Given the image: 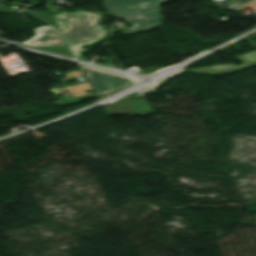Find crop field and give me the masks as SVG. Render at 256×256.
I'll return each instance as SVG.
<instances>
[{
  "instance_id": "obj_3",
  "label": "crop field",
  "mask_w": 256,
  "mask_h": 256,
  "mask_svg": "<svg viewBox=\"0 0 256 256\" xmlns=\"http://www.w3.org/2000/svg\"><path fill=\"white\" fill-rule=\"evenodd\" d=\"M80 66L98 95L124 87L133 81V79L129 78L127 75L90 66Z\"/></svg>"
},
{
  "instance_id": "obj_7",
  "label": "crop field",
  "mask_w": 256,
  "mask_h": 256,
  "mask_svg": "<svg viewBox=\"0 0 256 256\" xmlns=\"http://www.w3.org/2000/svg\"><path fill=\"white\" fill-rule=\"evenodd\" d=\"M251 1H253V0H236V1L232 2L231 4L227 5L226 9L235 10Z\"/></svg>"
},
{
  "instance_id": "obj_8",
  "label": "crop field",
  "mask_w": 256,
  "mask_h": 256,
  "mask_svg": "<svg viewBox=\"0 0 256 256\" xmlns=\"http://www.w3.org/2000/svg\"><path fill=\"white\" fill-rule=\"evenodd\" d=\"M6 8H8V7L2 6V7H0V10L6 9Z\"/></svg>"
},
{
  "instance_id": "obj_4",
  "label": "crop field",
  "mask_w": 256,
  "mask_h": 256,
  "mask_svg": "<svg viewBox=\"0 0 256 256\" xmlns=\"http://www.w3.org/2000/svg\"><path fill=\"white\" fill-rule=\"evenodd\" d=\"M235 59L243 62V64L239 66H235L233 64H224V65H218V66L184 70L182 72L191 71L197 74H205V75L231 74V73L256 65V51L235 57Z\"/></svg>"
},
{
  "instance_id": "obj_6",
  "label": "crop field",
  "mask_w": 256,
  "mask_h": 256,
  "mask_svg": "<svg viewBox=\"0 0 256 256\" xmlns=\"http://www.w3.org/2000/svg\"><path fill=\"white\" fill-rule=\"evenodd\" d=\"M164 71L163 68H159V67H153L150 69H144V70H136V71H132L133 73H138V74H143V75H150V74H157L159 72Z\"/></svg>"
},
{
  "instance_id": "obj_1",
  "label": "crop field",
  "mask_w": 256,
  "mask_h": 256,
  "mask_svg": "<svg viewBox=\"0 0 256 256\" xmlns=\"http://www.w3.org/2000/svg\"><path fill=\"white\" fill-rule=\"evenodd\" d=\"M60 30L64 33L66 40L75 57L85 60L79 53L83 49L80 45L89 44L103 39L107 30L105 26L97 24L102 19V14L84 11H74L71 14L63 11L53 15Z\"/></svg>"
},
{
  "instance_id": "obj_5",
  "label": "crop field",
  "mask_w": 256,
  "mask_h": 256,
  "mask_svg": "<svg viewBox=\"0 0 256 256\" xmlns=\"http://www.w3.org/2000/svg\"><path fill=\"white\" fill-rule=\"evenodd\" d=\"M34 30L36 32L35 36L22 44L33 47L65 46L60 33L51 26L47 25Z\"/></svg>"
},
{
  "instance_id": "obj_2",
  "label": "crop field",
  "mask_w": 256,
  "mask_h": 256,
  "mask_svg": "<svg viewBox=\"0 0 256 256\" xmlns=\"http://www.w3.org/2000/svg\"><path fill=\"white\" fill-rule=\"evenodd\" d=\"M166 0H104L105 7L118 17L135 26L122 29L123 35L140 32L159 25L163 19L157 12Z\"/></svg>"
}]
</instances>
